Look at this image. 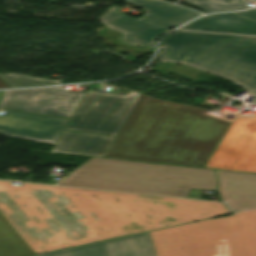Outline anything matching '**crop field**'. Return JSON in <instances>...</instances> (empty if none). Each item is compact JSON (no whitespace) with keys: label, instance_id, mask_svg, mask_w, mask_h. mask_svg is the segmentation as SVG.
Here are the masks:
<instances>
[{"label":"crop field","instance_id":"5142ce71","mask_svg":"<svg viewBox=\"0 0 256 256\" xmlns=\"http://www.w3.org/2000/svg\"><path fill=\"white\" fill-rule=\"evenodd\" d=\"M33 251L0 213V256H31Z\"/></svg>","mask_w":256,"mask_h":256},{"label":"crop field","instance_id":"d1516ede","mask_svg":"<svg viewBox=\"0 0 256 256\" xmlns=\"http://www.w3.org/2000/svg\"><path fill=\"white\" fill-rule=\"evenodd\" d=\"M219 196L233 212L256 209V174L216 171Z\"/></svg>","mask_w":256,"mask_h":256},{"label":"crop field","instance_id":"22f410ed","mask_svg":"<svg viewBox=\"0 0 256 256\" xmlns=\"http://www.w3.org/2000/svg\"><path fill=\"white\" fill-rule=\"evenodd\" d=\"M113 138L62 131L51 152L103 157Z\"/></svg>","mask_w":256,"mask_h":256},{"label":"crop field","instance_id":"3316defc","mask_svg":"<svg viewBox=\"0 0 256 256\" xmlns=\"http://www.w3.org/2000/svg\"><path fill=\"white\" fill-rule=\"evenodd\" d=\"M67 119L6 111L0 135L54 145Z\"/></svg>","mask_w":256,"mask_h":256},{"label":"crop field","instance_id":"34b2d1b8","mask_svg":"<svg viewBox=\"0 0 256 256\" xmlns=\"http://www.w3.org/2000/svg\"><path fill=\"white\" fill-rule=\"evenodd\" d=\"M58 185L186 198L190 188L216 190L213 170L93 157Z\"/></svg>","mask_w":256,"mask_h":256},{"label":"crop field","instance_id":"f4fd0767","mask_svg":"<svg viewBox=\"0 0 256 256\" xmlns=\"http://www.w3.org/2000/svg\"><path fill=\"white\" fill-rule=\"evenodd\" d=\"M150 233L156 256H256V210Z\"/></svg>","mask_w":256,"mask_h":256},{"label":"crop field","instance_id":"bc2a9ffb","mask_svg":"<svg viewBox=\"0 0 256 256\" xmlns=\"http://www.w3.org/2000/svg\"><path fill=\"white\" fill-rule=\"evenodd\" d=\"M0 88H11L3 80L0 79Z\"/></svg>","mask_w":256,"mask_h":256},{"label":"crop field","instance_id":"d8731c3e","mask_svg":"<svg viewBox=\"0 0 256 256\" xmlns=\"http://www.w3.org/2000/svg\"><path fill=\"white\" fill-rule=\"evenodd\" d=\"M206 167L256 173V117L233 122Z\"/></svg>","mask_w":256,"mask_h":256},{"label":"crop field","instance_id":"cbeb9de0","mask_svg":"<svg viewBox=\"0 0 256 256\" xmlns=\"http://www.w3.org/2000/svg\"><path fill=\"white\" fill-rule=\"evenodd\" d=\"M182 29L256 34V22L231 13L215 14L202 17Z\"/></svg>","mask_w":256,"mask_h":256},{"label":"crop field","instance_id":"d9b57169","mask_svg":"<svg viewBox=\"0 0 256 256\" xmlns=\"http://www.w3.org/2000/svg\"><path fill=\"white\" fill-rule=\"evenodd\" d=\"M256 0H185V2L207 12L246 8L248 2Z\"/></svg>","mask_w":256,"mask_h":256},{"label":"crop field","instance_id":"e52e79f7","mask_svg":"<svg viewBox=\"0 0 256 256\" xmlns=\"http://www.w3.org/2000/svg\"><path fill=\"white\" fill-rule=\"evenodd\" d=\"M141 94L87 91L65 129L117 136Z\"/></svg>","mask_w":256,"mask_h":256},{"label":"crop field","instance_id":"4a817a6b","mask_svg":"<svg viewBox=\"0 0 256 256\" xmlns=\"http://www.w3.org/2000/svg\"><path fill=\"white\" fill-rule=\"evenodd\" d=\"M234 14L256 21V10Z\"/></svg>","mask_w":256,"mask_h":256},{"label":"crop field","instance_id":"412701ff","mask_svg":"<svg viewBox=\"0 0 256 256\" xmlns=\"http://www.w3.org/2000/svg\"><path fill=\"white\" fill-rule=\"evenodd\" d=\"M160 61L231 80L256 97V37L178 31L163 40Z\"/></svg>","mask_w":256,"mask_h":256},{"label":"crop field","instance_id":"5a996713","mask_svg":"<svg viewBox=\"0 0 256 256\" xmlns=\"http://www.w3.org/2000/svg\"><path fill=\"white\" fill-rule=\"evenodd\" d=\"M62 89L7 91L1 108L71 118L84 94Z\"/></svg>","mask_w":256,"mask_h":256},{"label":"crop field","instance_id":"8a807250","mask_svg":"<svg viewBox=\"0 0 256 256\" xmlns=\"http://www.w3.org/2000/svg\"><path fill=\"white\" fill-rule=\"evenodd\" d=\"M0 212L35 254L230 213L217 202L6 181Z\"/></svg>","mask_w":256,"mask_h":256},{"label":"crop field","instance_id":"dd49c442","mask_svg":"<svg viewBox=\"0 0 256 256\" xmlns=\"http://www.w3.org/2000/svg\"><path fill=\"white\" fill-rule=\"evenodd\" d=\"M126 3L143 8L141 19H132L119 13L113 5L98 21L110 30L123 34L122 39L129 45L154 47L161 35L177 25L198 15L178 6L155 0H130Z\"/></svg>","mask_w":256,"mask_h":256},{"label":"crop field","instance_id":"ac0d7876","mask_svg":"<svg viewBox=\"0 0 256 256\" xmlns=\"http://www.w3.org/2000/svg\"><path fill=\"white\" fill-rule=\"evenodd\" d=\"M141 95L106 158L203 167L231 122Z\"/></svg>","mask_w":256,"mask_h":256},{"label":"crop field","instance_id":"733c2abd","mask_svg":"<svg viewBox=\"0 0 256 256\" xmlns=\"http://www.w3.org/2000/svg\"><path fill=\"white\" fill-rule=\"evenodd\" d=\"M0 78L12 88L58 84V80L34 78L22 74H0Z\"/></svg>","mask_w":256,"mask_h":256},{"label":"crop field","instance_id":"28ad6ade","mask_svg":"<svg viewBox=\"0 0 256 256\" xmlns=\"http://www.w3.org/2000/svg\"><path fill=\"white\" fill-rule=\"evenodd\" d=\"M37 256H155V252L147 232Z\"/></svg>","mask_w":256,"mask_h":256}]
</instances>
